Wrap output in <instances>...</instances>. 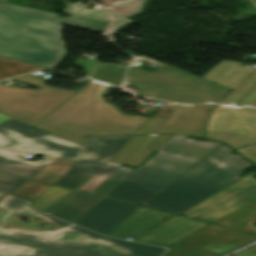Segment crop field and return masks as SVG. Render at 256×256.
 Wrapping results in <instances>:
<instances>
[{
    "label": "crop field",
    "mask_w": 256,
    "mask_h": 256,
    "mask_svg": "<svg viewBox=\"0 0 256 256\" xmlns=\"http://www.w3.org/2000/svg\"><path fill=\"white\" fill-rule=\"evenodd\" d=\"M140 94H144V95H148L147 93H146V91H144V90H141L140 89V92H139Z\"/></svg>",
    "instance_id": "37"
},
{
    "label": "crop field",
    "mask_w": 256,
    "mask_h": 256,
    "mask_svg": "<svg viewBox=\"0 0 256 256\" xmlns=\"http://www.w3.org/2000/svg\"><path fill=\"white\" fill-rule=\"evenodd\" d=\"M78 237L79 234L64 232L55 238L64 241V243H56L46 239L45 236L9 233L0 230V243L2 244L40 249L25 253L23 256H160L165 251L162 248L107 237L104 238L132 249L131 255L122 254L106 245L97 246L89 250L94 247L95 243L80 240ZM0 256L18 255L0 254Z\"/></svg>",
    "instance_id": "6"
},
{
    "label": "crop field",
    "mask_w": 256,
    "mask_h": 256,
    "mask_svg": "<svg viewBox=\"0 0 256 256\" xmlns=\"http://www.w3.org/2000/svg\"><path fill=\"white\" fill-rule=\"evenodd\" d=\"M45 69L43 67L0 57V79Z\"/></svg>",
    "instance_id": "24"
},
{
    "label": "crop field",
    "mask_w": 256,
    "mask_h": 256,
    "mask_svg": "<svg viewBox=\"0 0 256 256\" xmlns=\"http://www.w3.org/2000/svg\"><path fill=\"white\" fill-rule=\"evenodd\" d=\"M254 241V236L211 224L174 247L200 256H223Z\"/></svg>",
    "instance_id": "11"
},
{
    "label": "crop field",
    "mask_w": 256,
    "mask_h": 256,
    "mask_svg": "<svg viewBox=\"0 0 256 256\" xmlns=\"http://www.w3.org/2000/svg\"><path fill=\"white\" fill-rule=\"evenodd\" d=\"M9 118H10V117H8V116L3 115V114L0 113V123L3 122V121H5V120H7V119H9Z\"/></svg>",
    "instance_id": "36"
},
{
    "label": "crop field",
    "mask_w": 256,
    "mask_h": 256,
    "mask_svg": "<svg viewBox=\"0 0 256 256\" xmlns=\"http://www.w3.org/2000/svg\"><path fill=\"white\" fill-rule=\"evenodd\" d=\"M252 70L235 61H220L202 77L234 89Z\"/></svg>",
    "instance_id": "17"
},
{
    "label": "crop field",
    "mask_w": 256,
    "mask_h": 256,
    "mask_svg": "<svg viewBox=\"0 0 256 256\" xmlns=\"http://www.w3.org/2000/svg\"><path fill=\"white\" fill-rule=\"evenodd\" d=\"M21 210H28V211L37 213V214H39L41 216H44V217H46V218H48L50 220H53V221H55V222L65 226V229L60 230V231H56V232L10 231V230H6V229H2L3 231L46 235L47 238L51 239L52 241H57V242H62V241H58V240H55L53 238L56 237L57 235L61 234L62 232H64V231L75 232V233L81 234L80 239H84V240H88V241H91V242H95V243H97L96 245L106 244V245H109L111 247H114V248L118 249L119 251H121L123 253H127V254L131 253L130 249L122 248V247L116 245L115 243H113L111 241L102 239L104 236H101V235H98V234H94V233L82 230V229H80V228H78L76 226L68 225V224L63 223L61 221L55 220L56 218L53 219V218H51V217H49L47 215L41 214V213H39V212H37V211L27 207V206H25Z\"/></svg>",
    "instance_id": "20"
},
{
    "label": "crop field",
    "mask_w": 256,
    "mask_h": 256,
    "mask_svg": "<svg viewBox=\"0 0 256 256\" xmlns=\"http://www.w3.org/2000/svg\"><path fill=\"white\" fill-rule=\"evenodd\" d=\"M25 205H26V202H23L14 198H10L7 200V202L3 206L20 210Z\"/></svg>",
    "instance_id": "33"
},
{
    "label": "crop field",
    "mask_w": 256,
    "mask_h": 256,
    "mask_svg": "<svg viewBox=\"0 0 256 256\" xmlns=\"http://www.w3.org/2000/svg\"><path fill=\"white\" fill-rule=\"evenodd\" d=\"M255 221L256 199L215 223L256 235V227L252 225Z\"/></svg>",
    "instance_id": "19"
},
{
    "label": "crop field",
    "mask_w": 256,
    "mask_h": 256,
    "mask_svg": "<svg viewBox=\"0 0 256 256\" xmlns=\"http://www.w3.org/2000/svg\"><path fill=\"white\" fill-rule=\"evenodd\" d=\"M246 159L256 164V144L241 149H237Z\"/></svg>",
    "instance_id": "31"
},
{
    "label": "crop field",
    "mask_w": 256,
    "mask_h": 256,
    "mask_svg": "<svg viewBox=\"0 0 256 256\" xmlns=\"http://www.w3.org/2000/svg\"><path fill=\"white\" fill-rule=\"evenodd\" d=\"M32 250H36V249H29V248L9 246V245H1L0 244V253L23 255L25 252L32 251Z\"/></svg>",
    "instance_id": "30"
},
{
    "label": "crop field",
    "mask_w": 256,
    "mask_h": 256,
    "mask_svg": "<svg viewBox=\"0 0 256 256\" xmlns=\"http://www.w3.org/2000/svg\"><path fill=\"white\" fill-rule=\"evenodd\" d=\"M238 105L256 107V87Z\"/></svg>",
    "instance_id": "32"
},
{
    "label": "crop field",
    "mask_w": 256,
    "mask_h": 256,
    "mask_svg": "<svg viewBox=\"0 0 256 256\" xmlns=\"http://www.w3.org/2000/svg\"><path fill=\"white\" fill-rule=\"evenodd\" d=\"M48 187H50V185L29 180L16 191H14L12 194H10V196L31 202L43 191H45Z\"/></svg>",
    "instance_id": "25"
},
{
    "label": "crop field",
    "mask_w": 256,
    "mask_h": 256,
    "mask_svg": "<svg viewBox=\"0 0 256 256\" xmlns=\"http://www.w3.org/2000/svg\"><path fill=\"white\" fill-rule=\"evenodd\" d=\"M138 208L105 198L76 224L106 235Z\"/></svg>",
    "instance_id": "12"
},
{
    "label": "crop field",
    "mask_w": 256,
    "mask_h": 256,
    "mask_svg": "<svg viewBox=\"0 0 256 256\" xmlns=\"http://www.w3.org/2000/svg\"><path fill=\"white\" fill-rule=\"evenodd\" d=\"M6 1H8V0H0V2H6Z\"/></svg>",
    "instance_id": "38"
},
{
    "label": "crop field",
    "mask_w": 256,
    "mask_h": 256,
    "mask_svg": "<svg viewBox=\"0 0 256 256\" xmlns=\"http://www.w3.org/2000/svg\"><path fill=\"white\" fill-rule=\"evenodd\" d=\"M82 147L13 118L0 124V148L79 161Z\"/></svg>",
    "instance_id": "8"
},
{
    "label": "crop field",
    "mask_w": 256,
    "mask_h": 256,
    "mask_svg": "<svg viewBox=\"0 0 256 256\" xmlns=\"http://www.w3.org/2000/svg\"><path fill=\"white\" fill-rule=\"evenodd\" d=\"M205 138L219 140L233 149L256 143V110L217 105Z\"/></svg>",
    "instance_id": "9"
},
{
    "label": "crop field",
    "mask_w": 256,
    "mask_h": 256,
    "mask_svg": "<svg viewBox=\"0 0 256 256\" xmlns=\"http://www.w3.org/2000/svg\"><path fill=\"white\" fill-rule=\"evenodd\" d=\"M112 87L89 81L35 127L82 145L85 136L134 135L150 119L128 116L106 102L104 94Z\"/></svg>",
    "instance_id": "2"
},
{
    "label": "crop field",
    "mask_w": 256,
    "mask_h": 256,
    "mask_svg": "<svg viewBox=\"0 0 256 256\" xmlns=\"http://www.w3.org/2000/svg\"><path fill=\"white\" fill-rule=\"evenodd\" d=\"M102 197L75 191L50 214L73 223Z\"/></svg>",
    "instance_id": "18"
},
{
    "label": "crop field",
    "mask_w": 256,
    "mask_h": 256,
    "mask_svg": "<svg viewBox=\"0 0 256 256\" xmlns=\"http://www.w3.org/2000/svg\"><path fill=\"white\" fill-rule=\"evenodd\" d=\"M26 181L28 180L0 173V191L9 195Z\"/></svg>",
    "instance_id": "29"
},
{
    "label": "crop field",
    "mask_w": 256,
    "mask_h": 256,
    "mask_svg": "<svg viewBox=\"0 0 256 256\" xmlns=\"http://www.w3.org/2000/svg\"><path fill=\"white\" fill-rule=\"evenodd\" d=\"M233 256H256V244L253 247Z\"/></svg>",
    "instance_id": "35"
},
{
    "label": "crop field",
    "mask_w": 256,
    "mask_h": 256,
    "mask_svg": "<svg viewBox=\"0 0 256 256\" xmlns=\"http://www.w3.org/2000/svg\"><path fill=\"white\" fill-rule=\"evenodd\" d=\"M230 153L220 144L143 205L182 213L237 181L251 163Z\"/></svg>",
    "instance_id": "3"
},
{
    "label": "crop field",
    "mask_w": 256,
    "mask_h": 256,
    "mask_svg": "<svg viewBox=\"0 0 256 256\" xmlns=\"http://www.w3.org/2000/svg\"><path fill=\"white\" fill-rule=\"evenodd\" d=\"M218 144L174 135L157 149L159 152L151 160L139 166L107 197L141 205Z\"/></svg>",
    "instance_id": "4"
},
{
    "label": "crop field",
    "mask_w": 256,
    "mask_h": 256,
    "mask_svg": "<svg viewBox=\"0 0 256 256\" xmlns=\"http://www.w3.org/2000/svg\"><path fill=\"white\" fill-rule=\"evenodd\" d=\"M71 192V190L51 186L29 205L39 211L48 213Z\"/></svg>",
    "instance_id": "22"
},
{
    "label": "crop field",
    "mask_w": 256,
    "mask_h": 256,
    "mask_svg": "<svg viewBox=\"0 0 256 256\" xmlns=\"http://www.w3.org/2000/svg\"><path fill=\"white\" fill-rule=\"evenodd\" d=\"M170 215L172 214L141 207L107 235L135 239Z\"/></svg>",
    "instance_id": "14"
},
{
    "label": "crop field",
    "mask_w": 256,
    "mask_h": 256,
    "mask_svg": "<svg viewBox=\"0 0 256 256\" xmlns=\"http://www.w3.org/2000/svg\"><path fill=\"white\" fill-rule=\"evenodd\" d=\"M120 166L121 164H117L113 162L106 164L103 168H101L96 174H94L88 181H86L78 189L91 192Z\"/></svg>",
    "instance_id": "26"
},
{
    "label": "crop field",
    "mask_w": 256,
    "mask_h": 256,
    "mask_svg": "<svg viewBox=\"0 0 256 256\" xmlns=\"http://www.w3.org/2000/svg\"><path fill=\"white\" fill-rule=\"evenodd\" d=\"M163 256H197V255L172 247Z\"/></svg>",
    "instance_id": "34"
},
{
    "label": "crop field",
    "mask_w": 256,
    "mask_h": 256,
    "mask_svg": "<svg viewBox=\"0 0 256 256\" xmlns=\"http://www.w3.org/2000/svg\"><path fill=\"white\" fill-rule=\"evenodd\" d=\"M207 224L209 223L177 215L136 241L169 247Z\"/></svg>",
    "instance_id": "13"
},
{
    "label": "crop field",
    "mask_w": 256,
    "mask_h": 256,
    "mask_svg": "<svg viewBox=\"0 0 256 256\" xmlns=\"http://www.w3.org/2000/svg\"><path fill=\"white\" fill-rule=\"evenodd\" d=\"M26 154L0 149V171L31 178L53 159H44L37 162L23 160Z\"/></svg>",
    "instance_id": "16"
},
{
    "label": "crop field",
    "mask_w": 256,
    "mask_h": 256,
    "mask_svg": "<svg viewBox=\"0 0 256 256\" xmlns=\"http://www.w3.org/2000/svg\"><path fill=\"white\" fill-rule=\"evenodd\" d=\"M77 162L59 160L55 159L52 163L46 166L38 174H36L32 179L40 180L43 182L53 184L61 176H63L71 167H73Z\"/></svg>",
    "instance_id": "23"
},
{
    "label": "crop field",
    "mask_w": 256,
    "mask_h": 256,
    "mask_svg": "<svg viewBox=\"0 0 256 256\" xmlns=\"http://www.w3.org/2000/svg\"><path fill=\"white\" fill-rule=\"evenodd\" d=\"M133 169L120 167L110 177H108L103 183H101L92 193L104 196L109 190H111L119 181H121L128 173Z\"/></svg>",
    "instance_id": "28"
},
{
    "label": "crop field",
    "mask_w": 256,
    "mask_h": 256,
    "mask_svg": "<svg viewBox=\"0 0 256 256\" xmlns=\"http://www.w3.org/2000/svg\"><path fill=\"white\" fill-rule=\"evenodd\" d=\"M14 79L37 85L40 89L9 87L0 83V112L32 126L75 94L73 91L45 85V80L29 75Z\"/></svg>",
    "instance_id": "7"
},
{
    "label": "crop field",
    "mask_w": 256,
    "mask_h": 256,
    "mask_svg": "<svg viewBox=\"0 0 256 256\" xmlns=\"http://www.w3.org/2000/svg\"><path fill=\"white\" fill-rule=\"evenodd\" d=\"M103 166L104 165L78 162L54 184L77 189Z\"/></svg>",
    "instance_id": "21"
},
{
    "label": "crop field",
    "mask_w": 256,
    "mask_h": 256,
    "mask_svg": "<svg viewBox=\"0 0 256 256\" xmlns=\"http://www.w3.org/2000/svg\"><path fill=\"white\" fill-rule=\"evenodd\" d=\"M131 136L86 138L81 153L82 162L106 164L110 162Z\"/></svg>",
    "instance_id": "15"
},
{
    "label": "crop field",
    "mask_w": 256,
    "mask_h": 256,
    "mask_svg": "<svg viewBox=\"0 0 256 256\" xmlns=\"http://www.w3.org/2000/svg\"><path fill=\"white\" fill-rule=\"evenodd\" d=\"M256 86V71L247 78L223 103L237 105Z\"/></svg>",
    "instance_id": "27"
},
{
    "label": "crop field",
    "mask_w": 256,
    "mask_h": 256,
    "mask_svg": "<svg viewBox=\"0 0 256 256\" xmlns=\"http://www.w3.org/2000/svg\"><path fill=\"white\" fill-rule=\"evenodd\" d=\"M254 172L210 196L199 204L183 212L208 221H216L238 207L256 198Z\"/></svg>",
    "instance_id": "10"
},
{
    "label": "crop field",
    "mask_w": 256,
    "mask_h": 256,
    "mask_svg": "<svg viewBox=\"0 0 256 256\" xmlns=\"http://www.w3.org/2000/svg\"><path fill=\"white\" fill-rule=\"evenodd\" d=\"M124 82L146 90L149 96L185 103H219L232 91L170 66L154 72L132 67Z\"/></svg>",
    "instance_id": "5"
},
{
    "label": "crop field",
    "mask_w": 256,
    "mask_h": 256,
    "mask_svg": "<svg viewBox=\"0 0 256 256\" xmlns=\"http://www.w3.org/2000/svg\"><path fill=\"white\" fill-rule=\"evenodd\" d=\"M66 24L103 31L106 24L0 3V56L53 69L66 54Z\"/></svg>",
    "instance_id": "1"
}]
</instances>
